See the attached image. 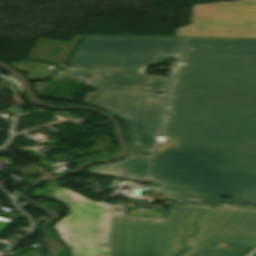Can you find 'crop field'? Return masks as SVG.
<instances>
[{
  "label": "crop field",
  "mask_w": 256,
  "mask_h": 256,
  "mask_svg": "<svg viewBox=\"0 0 256 256\" xmlns=\"http://www.w3.org/2000/svg\"><path fill=\"white\" fill-rule=\"evenodd\" d=\"M253 256H256V253Z\"/></svg>",
  "instance_id": "obj_9"
},
{
  "label": "crop field",
  "mask_w": 256,
  "mask_h": 256,
  "mask_svg": "<svg viewBox=\"0 0 256 256\" xmlns=\"http://www.w3.org/2000/svg\"><path fill=\"white\" fill-rule=\"evenodd\" d=\"M176 37L256 38V0L194 6L192 25L178 28Z\"/></svg>",
  "instance_id": "obj_6"
},
{
  "label": "crop field",
  "mask_w": 256,
  "mask_h": 256,
  "mask_svg": "<svg viewBox=\"0 0 256 256\" xmlns=\"http://www.w3.org/2000/svg\"><path fill=\"white\" fill-rule=\"evenodd\" d=\"M34 197L50 196L61 201L68 215L55 224L71 256H111L113 206L97 204L65 188L47 185L37 188Z\"/></svg>",
  "instance_id": "obj_3"
},
{
  "label": "crop field",
  "mask_w": 256,
  "mask_h": 256,
  "mask_svg": "<svg viewBox=\"0 0 256 256\" xmlns=\"http://www.w3.org/2000/svg\"><path fill=\"white\" fill-rule=\"evenodd\" d=\"M179 256H245L256 247V207L213 206Z\"/></svg>",
  "instance_id": "obj_4"
},
{
  "label": "crop field",
  "mask_w": 256,
  "mask_h": 256,
  "mask_svg": "<svg viewBox=\"0 0 256 256\" xmlns=\"http://www.w3.org/2000/svg\"><path fill=\"white\" fill-rule=\"evenodd\" d=\"M167 57L145 182L184 201L256 204V39L85 36L63 70L99 90L164 92L168 77L144 72Z\"/></svg>",
  "instance_id": "obj_1"
},
{
  "label": "crop field",
  "mask_w": 256,
  "mask_h": 256,
  "mask_svg": "<svg viewBox=\"0 0 256 256\" xmlns=\"http://www.w3.org/2000/svg\"><path fill=\"white\" fill-rule=\"evenodd\" d=\"M207 205L172 204L165 218L125 216L114 206L112 256H177Z\"/></svg>",
  "instance_id": "obj_2"
},
{
  "label": "crop field",
  "mask_w": 256,
  "mask_h": 256,
  "mask_svg": "<svg viewBox=\"0 0 256 256\" xmlns=\"http://www.w3.org/2000/svg\"><path fill=\"white\" fill-rule=\"evenodd\" d=\"M162 98L163 95L101 92L86 105L121 119L130 149L150 153Z\"/></svg>",
  "instance_id": "obj_5"
},
{
  "label": "crop field",
  "mask_w": 256,
  "mask_h": 256,
  "mask_svg": "<svg viewBox=\"0 0 256 256\" xmlns=\"http://www.w3.org/2000/svg\"><path fill=\"white\" fill-rule=\"evenodd\" d=\"M150 156L131 154L125 159L88 169V172L139 181L144 178Z\"/></svg>",
  "instance_id": "obj_7"
},
{
  "label": "crop field",
  "mask_w": 256,
  "mask_h": 256,
  "mask_svg": "<svg viewBox=\"0 0 256 256\" xmlns=\"http://www.w3.org/2000/svg\"><path fill=\"white\" fill-rule=\"evenodd\" d=\"M9 224L0 222V234Z\"/></svg>",
  "instance_id": "obj_8"
}]
</instances>
